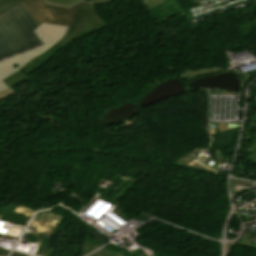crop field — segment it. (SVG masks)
<instances>
[{
    "mask_svg": "<svg viewBox=\"0 0 256 256\" xmlns=\"http://www.w3.org/2000/svg\"><path fill=\"white\" fill-rule=\"evenodd\" d=\"M38 26L41 22L69 26L65 36L59 41L63 46L78 40L107 24L95 11L94 5L80 2L69 9L46 4L44 0H25Z\"/></svg>",
    "mask_w": 256,
    "mask_h": 256,
    "instance_id": "crop-field-2",
    "label": "crop field"
},
{
    "mask_svg": "<svg viewBox=\"0 0 256 256\" xmlns=\"http://www.w3.org/2000/svg\"><path fill=\"white\" fill-rule=\"evenodd\" d=\"M114 256H122V255H120V254H117V255H114Z\"/></svg>",
    "mask_w": 256,
    "mask_h": 256,
    "instance_id": "crop-field-8",
    "label": "crop field"
},
{
    "mask_svg": "<svg viewBox=\"0 0 256 256\" xmlns=\"http://www.w3.org/2000/svg\"><path fill=\"white\" fill-rule=\"evenodd\" d=\"M252 160L253 161H251V162L256 164V145H255V147L253 149Z\"/></svg>",
    "mask_w": 256,
    "mask_h": 256,
    "instance_id": "crop-field-7",
    "label": "crop field"
},
{
    "mask_svg": "<svg viewBox=\"0 0 256 256\" xmlns=\"http://www.w3.org/2000/svg\"><path fill=\"white\" fill-rule=\"evenodd\" d=\"M23 0H0V11Z\"/></svg>",
    "mask_w": 256,
    "mask_h": 256,
    "instance_id": "crop-field-6",
    "label": "crop field"
},
{
    "mask_svg": "<svg viewBox=\"0 0 256 256\" xmlns=\"http://www.w3.org/2000/svg\"><path fill=\"white\" fill-rule=\"evenodd\" d=\"M109 0H90V2H93V3H100V4H106ZM169 0H142V3L145 4V6L148 8V9H152L162 3H165Z\"/></svg>",
    "mask_w": 256,
    "mask_h": 256,
    "instance_id": "crop-field-4",
    "label": "crop field"
},
{
    "mask_svg": "<svg viewBox=\"0 0 256 256\" xmlns=\"http://www.w3.org/2000/svg\"><path fill=\"white\" fill-rule=\"evenodd\" d=\"M79 1H83V0H46V2H49V3L60 4V5L68 6V7H70L71 5H73Z\"/></svg>",
    "mask_w": 256,
    "mask_h": 256,
    "instance_id": "crop-field-5",
    "label": "crop field"
},
{
    "mask_svg": "<svg viewBox=\"0 0 256 256\" xmlns=\"http://www.w3.org/2000/svg\"><path fill=\"white\" fill-rule=\"evenodd\" d=\"M67 28L41 23L34 32L44 45L0 62V99L15 93L12 86L29 80L28 74L39 69L62 49L58 41Z\"/></svg>",
    "mask_w": 256,
    "mask_h": 256,
    "instance_id": "crop-field-1",
    "label": "crop field"
},
{
    "mask_svg": "<svg viewBox=\"0 0 256 256\" xmlns=\"http://www.w3.org/2000/svg\"><path fill=\"white\" fill-rule=\"evenodd\" d=\"M37 27L23 2L0 12V61L42 45Z\"/></svg>",
    "mask_w": 256,
    "mask_h": 256,
    "instance_id": "crop-field-3",
    "label": "crop field"
},
{
    "mask_svg": "<svg viewBox=\"0 0 256 256\" xmlns=\"http://www.w3.org/2000/svg\"><path fill=\"white\" fill-rule=\"evenodd\" d=\"M138 256H143L142 254L138 255Z\"/></svg>",
    "mask_w": 256,
    "mask_h": 256,
    "instance_id": "crop-field-9",
    "label": "crop field"
}]
</instances>
